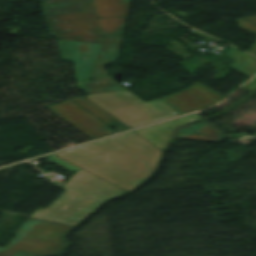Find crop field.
Wrapping results in <instances>:
<instances>
[{
  "instance_id": "obj_1",
  "label": "crop field",
  "mask_w": 256,
  "mask_h": 256,
  "mask_svg": "<svg viewBox=\"0 0 256 256\" xmlns=\"http://www.w3.org/2000/svg\"><path fill=\"white\" fill-rule=\"evenodd\" d=\"M42 6L59 40L103 43L93 0H46Z\"/></svg>"
},
{
  "instance_id": "obj_2",
  "label": "crop field",
  "mask_w": 256,
  "mask_h": 256,
  "mask_svg": "<svg viewBox=\"0 0 256 256\" xmlns=\"http://www.w3.org/2000/svg\"><path fill=\"white\" fill-rule=\"evenodd\" d=\"M131 129L180 115L161 102H144L129 91L84 96Z\"/></svg>"
},
{
  "instance_id": "obj_3",
  "label": "crop field",
  "mask_w": 256,
  "mask_h": 256,
  "mask_svg": "<svg viewBox=\"0 0 256 256\" xmlns=\"http://www.w3.org/2000/svg\"><path fill=\"white\" fill-rule=\"evenodd\" d=\"M123 37L124 36L119 35L115 37L103 38V46L98 54L82 95L126 90L111 79L104 70V66L118 61ZM92 78L95 80H91Z\"/></svg>"
},
{
  "instance_id": "obj_4",
  "label": "crop field",
  "mask_w": 256,
  "mask_h": 256,
  "mask_svg": "<svg viewBox=\"0 0 256 256\" xmlns=\"http://www.w3.org/2000/svg\"><path fill=\"white\" fill-rule=\"evenodd\" d=\"M234 62L228 66L237 70L238 72L252 77L256 74V58L244 52L240 53L234 59Z\"/></svg>"
},
{
  "instance_id": "obj_5",
  "label": "crop field",
  "mask_w": 256,
  "mask_h": 256,
  "mask_svg": "<svg viewBox=\"0 0 256 256\" xmlns=\"http://www.w3.org/2000/svg\"><path fill=\"white\" fill-rule=\"evenodd\" d=\"M243 89L255 91L256 90V78L254 80H252L249 84H247L245 87H243Z\"/></svg>"
}]
</instances>
